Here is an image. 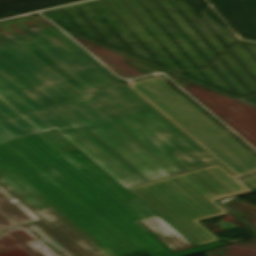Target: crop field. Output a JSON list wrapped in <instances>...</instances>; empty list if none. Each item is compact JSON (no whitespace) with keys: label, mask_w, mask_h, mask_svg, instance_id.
<instances>
[{"label":"crop field","mask_w":256,"mask_h":256,"mask_svg":"<svg viewBox=\"0 0 256 256\" xmlns=\"http://www.w3.org/2000/svg\"><path fill=\"white\" fill-rule=\"evenodd\" d=\"M163 186H167V184L164 183L161 179H159V180L151 181L141 185L128 187L126 189H128L130 192L135 194V193H139V192H143V191H147V190H151V189H155Z\"/></svg>","instance_id":"obj_10"},{"label":"crop field","mask_w":256,"mask_h":256,"mask_svg":"<svg viewBox=\"0 0 256 256\" xmlns=\"http://www.w3.org/2000/svg\"><path fill=\"white\" fill-rule=\"evenodd\" d=\"M48 25L30 17L0 21V43L44 30L53 31Z\"/></svg>","instance_id":"obj_9"},{"label":"crop field","mask_w":256,"mask_h":256,"mask_svg":"<svg viewBox=\"0 0 256 256\" xmlns=\"http://www.w3.org/2000/svg\"><path fill=\"white\" fill-rule=\"evenodd\" d=\"M52 129L0 85V142Z\"/></svg>","instance_id":"obj_7"},{"label":"crop field","mask_w":256,"mask_h":256,"mask_svg":"<svg viewBox=\"0 0 256 256\" xmlns=\"http://www.w3.org/2000/svg\"><path fill=\"white\" fill-rule=\"evenodd\" d=\"M53 33L213 165L211 167L163 178L162 180L169 186L135 194V196L161 216L196 247L219 241L214 234L198 221L228 213L214 201L249 192L250 190L157 114L134 93L117 81L66 36L57 31H54ZM173 180L179 182L180 186Z\"/></svg>","instance_id":"obj_3"},{"label":"crop field","mask_w":256,"mask_h":256,"mask_svg":"<svg viewBox=\"0 0 256 256\" xmlns=\"http://www.w3.org/2000/svg\"><path fill=\"white\" fill-rule=\"evenodd\" d=\"M0 185L41 218V221L27 224L38 220V218L0 187V229L25 224L23 226H26L60 256H66L33 229L30 226L32 224L69 256H108L49 206L36 210L1 180ZM6 233L7 232L4 230L0 231V255L29 256L19 247L20 245ZM8 233L20 241L36 256L43 255L28 243L33 245L45 256H57L53 253L54 251L52 252L26 228L8 231Z\"/></svg>","instance_id":"obj_4"},{"label":"crop field","mask_w":256,"mask_h":256,"mask_svg":"<svg viewBox=\"0 0 256 256\" xmlns=\"http://www.w3.org/2000/svg\"><path fill=\"white\" fill-rule=\"evenodd\" d=\"M0 179L49 205L109 256L170 254L133 221L155 216L58 131L0 144Z\"/></svg>","instance_id":"obj_2"},{"label":"crop field","mask_w":256,"mask_h":256,"mask_svg":"<svg viewBox=\"0 0 256 256\" xmlns=\"http://www.w3.org/2000/svg\"><path fill=\"white\" fill-rule=\"evenodd\" d=\"M135 223L138 224L147 233L158 238L161 242H163L167 247H169L172 251L176 253V254H170L166 256H187L194 253L206 251L209 249L225 246L223 242H220V243L178 253V251L193 248L194 246H192L182 236H180L177 232H175L158 216L136 221Z\"/></svg>","instance_id":"obj_8"},{"label":"crop field","mask_w":256,"mask_h":256,"mask_svg":"<svg viewBox=\"0 0 256 256\" xmlns=\"http://www.w3.org/2000/svg\"><path fill=\"white\" fill-rule=\"evenodd\" d=\"M18 40L86 96L35 113L124 187L211 165L52 32Z\"/></svg>","instance_id":"obj_1"},{"label":"crop field","mask_w":256,"mask_h":256,"mask_svg":"<svg viewBox=\"0 0 256 256\" xmlns=\"http://www.w3.org/2000/svg\"><path fill=\"white\" fill-rule=\"evenodd\" d=\"M158 79H154L151 81L156 82L160 87H162L166 92H168L173 98H175L179 103H181L185 108H187L191 113H193L197 118H199L203 123H205L209 128H211L215 133H217L221 138H223L227 143H229L233 148H235L239 153H241L245 158H247L251 163H253L256 166V161L252 157H250L246 152H244L240 147H238L234 142H232L228 137H226L222 132H220L216 127H214L210 122H208L204 117H202L198 112H196L192 107H190L186 102H184L180 97H178L174 92H172L168 87H166ZM151 81H147V83L150 84L154 89H156L160 94H162L166 99H168L172 104H174L178 109H180L184 114H186L190 119H192L196 124H198L202 129H204L208 134H210L214 139H216L220 144H222L226 149H228L232 154H234L238 159H240L244 164H246L254 172L249 170L245 165H243L239 160H237L233 155H231L227 150H225L221 145H219L215 140H213L209 135H207L203 130H201L197 125H195L191 120H189L185 115H183L179 110H177L173 105H171L167 100H165L161 95H159L155 90H153L145 82L140 83V84L142 86H144L148 91H150L154 96H156L159 100H161L170 109H172L176 114H178L187 123H189L199 133H201L204 137H206L216 147H218L221 151H223L227 156H229L232 160H234L238 165H240L248 173L246 174L245 172H243L239 167H237L233 162H231L227 157H225L221 152H219L215 147H213L209 142H207L203 137H201L197 132H195L191 127H189L185 122H183L179 117H177L173 112H171L167 107H165L161 102H159L155 97H153L149 92H147L139 84H136V86L138 88H140L144 93H146L151 99H153L157 104H159L164 110H166L170 115H172L177 121H179L184 127H186L190 132H192L197 138H199L203 143H205L210 149H212L221 158H219L211 150H209L204 144H202L198 139H196L191 133H189L185 128H183L178 122H176L171 116H169L165 111H163L158 105H156L152 100H150L145 94H143L134 85L129 86V88H131L135 93H137L147 103H149L158 112H160L164 117H166L175 126H177L181 131H183L187 136H189L192 140H194L204 150H206L209 154H211L215 159H217L221 164H223L227 169H229L235 176L241 177V176L256 173V168L252 164H250L246 159H244L241 155H239L235 150H233L229 145H227L224 141H222L218 136H216L206 126H204L195 117H193L189 112H187L178 103H176L172 98H170L161 89H159L160 87L158 88L155 84H153L154 82L152 83ZM181 96L256 158V156L252 152H250L246 147H244L240 142H238L234 137H232L228 132H226L222 127H220L216 122H214L210 117H208L204 112H202L192 102H190L183 95H181ZM241 181H243L246 185H248L253 190H256V176L242 179Z\"/></svg>","instance_id":"obj_6"},{"label":"crop field","mask_w":256,"mask_h":256,"mask_svg":"<svg viewBox=\"0 0 256 256\" xmlns=\"http://www.w3.org/2000/svg\"><path fill=\"white\" fill-rule=\"evenodd\" d=\"M0 84L32 111L85 98L18 40L0 44Z\"/></svg>","instance_id":"obj_5"}]
</instances>
